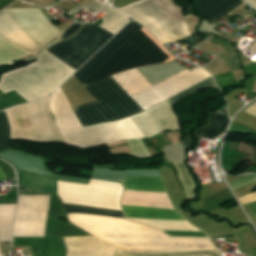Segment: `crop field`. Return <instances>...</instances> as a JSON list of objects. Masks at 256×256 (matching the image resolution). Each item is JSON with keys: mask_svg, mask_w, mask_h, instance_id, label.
Here are the masks:
<instances>
[{"mask_svg": "<svg viewBox=\"0 0 256 256\" xmlns=\"http://www.w3.org/2000/svg\"><path fill=\"white\" fill-rule=\"evenodd\" d=\"M117 11L110 6L102 11L105 15L100 27L114 34L121 29L128 19ZM80 26L81 24L75 23L69 27L62 38L74 34ZM112 36L113 34L89 24L47 51L77 70ZM47 51L39 56L37 62L3 74L0 90L6 93L14 89L27 101L53 93L76 70Z\"/></svg>", "mask_w": 256, "mask_h": 256, "instance_id": "8a807250", "label": "crop field"}, {"mask_svg": "<svg viewBox=\"0 0 256 256\" xmlns=\"http://www.w3.org/2000/svg\"><path fill=\"white\" fill-rule=\"evenodd\" d=\"M209 76V72L197 67L191 71L185 70L153 87L136 69L113 78L143 110H147ZM113 78L109 76L84 84L97 101L73 109L83 127L114 121L143 111Z\"/></svg>", "mask_w": 256, "mask_h": 256, "instance_id": "ac0d7876", "label": "crop field"}, {"mask_svg": "<svg viewBox=\"0 0 256 256\" xmlns=\"http://www.w3.org/2000/svg\"><path fill=\"white\" fill-rule=\"evenodd\" d=\"M68 219L123 252L159 254L216 250L207 238L169 237L160 230L122 218L68 213Z\"/></svg>", "mask_w": 256, "mask_h": 256, "instance_id": "34b2d1b8", "label": "crop field"}, {"mask_svg": "<svg viewBox=\"0 0 256 256\" xmlns=\"http://www.w3.org/2000/svg\"><path fill=\"white\" fill-rule=\"evenodd\" d=\"M142 23L161 43L178 41L190 35L181 10L167 0H142L120 9Z\"/></svg>", "mask_w": 256, "mask_h": 256, "instance_id": "412701ff", "label": "crop field"}, {"mask_svg": "<svg viewBox=\"0 0 256 256\" xmlns=\"http://www.w3.org/2000/svg\"><path fill=\"white\" fill-rule=\"evenodd\" d=\"M50 110L66 143L88 147L120 141L107 123L83 128L61 87L52 96Z\"/></svg>", "mask_w": 256, "mask_h": 256, "instance_id": "f4fd0767", "label": "crop field"}, {"mask_svg": "<svg viewBox=\"0 0 256 256\" xmlns=\"http://www.w3.org/2000/svg\"><path fill=\"white\" fill-rule=\"evenodd\" d=\"M169 56L141 30L82 84L126 69L160 63Z\"/></svg>", "mask_w": 256, "mask_h": 256, "instance_id": "dd49c442", "label": "crop field"}, {"mask_svg": "<svg viewBox=\"0 0 256 256\" xmlns=\"http://www.w3.org/2000/svg\"><path fill=\"white\" fill-rule=\"evenodd\" d=\"M123 187L117 183L91 179L88 185L58 181V194L64 203L122 210Z\"/></svg>", "mask_w": 256, "mask_h": 256, "instance_id": "e52e79f7", "label": "crop field"}, {"mask_svg": "<svg viewBox=\"0 0 256 256\" xmlns=\"http://www.w3.org/2000/svg\"><path fill=\"white\" fill-rule=\"evenodd\" d=\"M68 249L66 256H114L115 248L101 242L93 236L70 237L63 238ZM221 256L218 251L209 252H192V253H176V254H137L123 253L116 250L115 256Z\"/></svg>", "mask_w": 256, "mask_h": 256, "instance_id": "d8731c3e", "label": "crop field"}, {"mask_svg": "<svg viewBox=\"0 0 256 256\" xmlns=\"http://www.w3.org/2000/svg\"><path fill=\"white\" fill-rule=\"evenodd\" d=\"M147 138L165 129H179L180 122L165 101L145 112L131 117Z\"/></svg>", "mask_w": 256, "mask_h": 256, "instance_id": "5a996713", "label": "crop field"}, {"mask_svg": "<svg viewBox=\"0 0 256 256\" xmlns=\"http://www.w3.org/2000/svg\"><path fill=\"white\" fill-rule=\"evenodd\" d=\"M8 10L27 33L41 46L61 32L49 22L39 8Z\"/></svg>", "mask_w": 256, "mask_h": 256, "instance_id": "3316defc", "label": "crop field"}, {"mask_svg": "<svg viewBox=\"0 0 256 256\" xmlns=\"http://www.w3.org/2000/svg\"><path fill=\"white\" fill-rule=\"evenodd\" d=\"M142 27L136 23H129L115 37H113L101 50H99L75 74L81 83L125 44Z\"/></svg>", "mask_w": 256, "mask_h": 256, "instance_id": "28ad6ade", "label": "crop field"}, {"mask_svg": "<svg viewBox=\"0 0 256 256\" xmlns=\"http://www.w3.org/2000/svg\"><path fill=\"white\" fill-rule=\"evenodd\" d=\"M109 126L116 133L120 140L144 138V134L135 125L130 117L120 121L109 122ZM132 155L140 158L150 157L151 154L143 143L142 139L127 140Z\"/></svg>", "mask_w": 256, "mask_h": 256, "instance_id": "d1516ede", "label": "crop field"}, {"mask_svg": "<svg viewBox=\"0 0 256 256\" xmlns=\"http://www.w3.org/2000/svg\"><path fill=\"white\" fill-rule=\"evenodd\" d=\"M0 36L30 52L40 47V45L19 25L7 9L0 13Z\"/></svg>", "mask_w": 256, "mask_h": 256, "instance_id": "22f410ed", "label": "crop field"}, {"mask_svg": "<svg viewBox=\"0 0 256 256\" xmlns=\"http://www.w3.org/2000/svg\"><path fill=\"white\" fill-rule=\"evenodd\" d=\"M13 246H32L33 256H65L67 252L62 238H14Z\"/></svg>", "mask_w": 256, "mask_h": 256, "instance_id": "cbeb9de0", "label": "crop field"}, {"mask_svg": "<svg viewBox=\"0 0 256 256\" xmlns=\"http://www.w3.org/2000/svg\"><path fill=\"white\" fill-rule=\"evenodd\" d=\"M243 0H194L198 11L211 22H216L226 13L240 5Z\"/></svg>", "mask_w": 256, "mask_h": 256, "instance_id": "5142ce71", "label": "crop field"}, {"mask_svg": "<svg viewBox=\"0 0 256 256\" xmlns=\"http://www.w3.org/2000/svg\"><path fill=\"white\" fill-rule=\"evenodd\" d=\"M126 217L185 220L177 212L168 209L122 206Z\"/></svg>", "mask_w": 256, "mask_h": 256, "instance_id": "d9b57169", "label": "crop field"}, {"mask_svg": "<svg viewBox=\"0 0 256 256\" xmlns=\"http://www.w3.org/2000/svg\"><path fill=\"white\" fill-rule=\"evenodd\" d=\"M125 189L166 192L162 178L134 176L119 180Z\"/></svg>", "mask_w": 256, "mask_h": 256, "instance_id": "733c2abd", "label": "crop field"}, {"mask_svg": "<svg viewBox=\"0 0 256 256\" xmlns=\"http://www.w3.org/2000/svg\"><path fill=\"white\" fill-rule=\"evenodd\" d=\"M228 122L227 116L211 113L207 124L198 129L195 135L213 139L225 132Z\"/></svg>", "mask_w": 256, "mask_h": 256, "instance_id": "4a817a6b", "label": "crop field"}, {"mask_svg": "<svg viewBox=\"0 0 256 256\" xmlns=\"http://www.w3.org/2000/svg\"><path fill=\"white\" fill-rule=\"evenodd\" d=\"M154 227H158L162 230H191V231H199L195 229L190 223L187 221H169V220H155V219H135L130 218Z\"/></svg>", "mask_w": 256, "mask_h": 256, "instance_id": "bc2a9ffb", "label": "crop field"}, {"mask_svg": "<svg viewBox=\"0 0 256 256\" xmlns=\"http://www.w3.org/2000/svg\"><path fill=\"white\" fill-rule=\"evenodd\" d=\"M28 53L30 52L0 37V65L6 64L11 60L19 58Z\"/></svg>", "mask_w": 256, "mask_h": 256, "instance_id": "214f88e0", "label": "crop field"}, {"mask_svg": "<svg viewBox=\"0 0 256 256\" xmlns=\"http://www.w3.org/2000/svg\"><path fill=\"white\" fill-rule=\"evenodd\" d=\"M173 166L176 168L178 178L183 186L184 192L186 194V198H193L195 197L193 194V190L195 189V184L190 177L188 171L184 167L183 162H174L172 163Z\"/></svg>", "mask_w": 256, "mask_h": 256, "instance_id": "92a150f3", "label": "crop field"}, {"mask_svg": "<svg viewBox=\"0 0 256 256\" xmlns=\"http://www.w3.org/2000/svg\"><path fill=\"white\" fill-rule=\"evenodd\" d=\"M67 212L73 213H89V214H97V215H106V216H115V217H123L122 212L117 211H109V210H102L90 207H81V206H71L67 204H63Z\"/></svg>", "mask_w": 256, "mask_h": 256, "instance_id": "dafd665d", "label": "crop field"}, {"mask_svg": "<svg viewBox=\"0 0 256 256\" xmlns=\"http://www.w3.org/2000/svg\"><path fill=\"white\" fill-rule=\"evenodd\" d=\"M209 87H213V88H217L216 84L214 83L212 77L211 78H208L206 79L205 81L191 87L190 89L168 99L171 106H173L174 104L178 103L179 101H181L183 98L187 97L188 95L192 94V93H195L197 91H200L202 89H205V88H209Z\"/></svg>", "mask_w": 256, "mask_h": 256, "instance_id": "00972430", "label": "crop field"}, {"mask_svg": "<svg viewBox=\"0 0 256 256\" xmlns=\"http://www.w3.org/2000/svg\"><path fill=\"white\" fill-rule=\"evenodd\" d=\"M10 131L5 112H0V151L9 148Z\"/></svg>", "mask_w": 256, "mask_h": 256, "instance_id": "a9b5d70f", "label": "crop field"}, {"mask_svg": "<svg viewBox=\"0 0 256 256\" xmlns=\"http://www.w3.org/2000/svg\"><path fill=\"white\" fill-rule=\"evenodd\" d=\"M106 6L107 5L97 1V2H94V3L87 4V5L78 6L74 9H72L71 11H69L68 14L70 15L73 12L80 11L82 9L85 10V11H100Z\"/></svg>", "mask_w": 256, "mask_h": 256, "instance_id": "4177f3b9", "label": "crop field"}, {"mask_svg": "<svg viewBox=\"0 0 256 256\" xmlns=\"http://www.w3.org/2000/svg\"><path fill=\"white\" fill-rule=\"evenodd\" d=\"M242 205L256 201V192L251 193L245 197L239 198Z\"/></svg>", "mask_w": 256, "mask_h": 256, "instance_id": "730fd06b", "label": "crop field"}, {"mask_svg": "<svg viewBox=\"0 0 256 256\" xmlns=\"http://www.w3.org/2000/svg\"><path fill=\"white\" fill-rule=\"evenodd\" d=\"M245 112L256 116V102L253 103V104H251V105L245 110Z\"/></svg>", "mask_w": 256, "mask_h": 256, "instance_id": "eef30255", "label": "crop field"}, {"mask_svg": "<svg viewBox=\"0 0 256 256\" xmlns=\"http://www.w3.org/2000/svg\"><path fill=\"white\" fill-rule=\"evenodd\" d=\"M15 0H0V10Z\"/></svg>", "mask_w": 256, "mask_h": 256, "instance_id": "ae1a2a85", "label": "crop field"}, {"mask_svg": "<svg viewBox=\"0 0 256 256\" xmlns=\"http://www.w3.org/2000/svg\"><path fill=\"white\" fill-rule=\"evenodd\" d=\"M250 206H251V209L253 210V212L256 215V202L255 203H251Z\"/></svg>", "mask_w": 256, "mask_h": 256, "instance_id": "d3111659", "label": "crop field"}, {"mask_svg": "<svg viewBox=\"0 0 256 256\" xmlns=\"http://www.w3.org/2000/svg\"><path fill=\"white\" fill-rule=\"evenodd\" d=\"M6 177L5 175L3 174L2 170L0 169V180H5Z\"/></svg>", "mask_w": 256, "mask_h": 256, "instance_id": "750c4746", "label": "crop field"}, {"mask_svg": "<svg viewBox=\"0 0 256 256\" xmlns=\"http://www.w3.org/2000/svg\"><path fill=\"white\" fill-rule=\"evenodd\" d=\"M249 49L256 52V42Z\"/></svg>", "mask_w": 256, "mask_h": 256, "instance_id": "bd1437ed", "label": "crop field"}, {"mask_svg": "<svg viewBox=\"0 0 256 256\" xmlns=\"http://www.w3.org/2000/svg\"><path fill=\"white\" fill-rule=\"evenodd\" d=\"M247 1L250 2L256 8V0H247Z\"/></svg>", "mask_w": 256, "mask_h": 256, "instance_id": "1d83c4d3", "label": "crop field"}, {"mask_svg": "<svg viewBox=\"0 0 256 256\" xmlns=\"http://www.w3.org/2000/svg\"><path fill=\"white\" fill-rule=\"evenodd\" d=\"M0 255H1V253H0Z\"/></svg>", "mask_w": 256, "mask_h": 256, "instance_id": "120bbe31", "label": "crop field"}, {"mask_svg": "<svg viewBox=\"0 0 256 256\" xmlns=\"http://www.w3.org/2000/svg\"><path fill=\"white\" fill-rule=\"evenodd\" d=\"M27 1V0H26Z\"/></svg>", "mask_w": 256, "mask_h": 256, "instance_id": "d32e631a", "label": "crop field"}]
</instances>
